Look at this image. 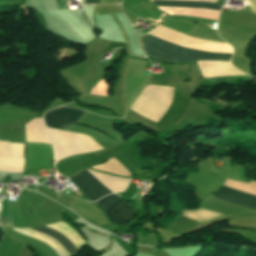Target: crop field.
Returning a JSON list of instances; mask_svg holds the SVG:
<instances>
[{
	"label": "crop field",
	"instance_id": "crop-field-1",
	"mask_svg": "<svg viewBox=\"0 0 256 256\" xmlns=\"http://www.w3.org/2000/svg\"><path fill=\"white\" fill-rule=\"evenodd\" d=\"M140 40L148 57L167 62L230 61L232 54L196 51L155 39L149 35Z\"/></svg>",
	"mask_w": 256,
	"mask_h": 256
},
{
	"label": "crop field",
	"instance_id": "crop-field-10",
	"mask_svg": "<svg viewBox=\"0 0 256 256\" xmlns=\"http://www.w3.org/2000/svg\"><path fill=\"white\" fill-rule=\"evenodd\" d=\"M2 235H3V230H0V240H1Z\"/></svg>",
	"mask_w": 256,
	"mask_h": 256
},
{
	"label": "crop field",
	"instance_id": "crop-field-4",
	"mask_svg": "<svg viewBox=\"0 0 256 256\" xmlns=\"http://www.w3.org/2000/svg\"><path fill=\"white\" fill-rule=\"evenodd\" d=\"M215 196L219 199L256 209V195L221 186Z\"/></svg>",
	"mask_w": 256,
	"mask_h": 256
},
{
	"label": "crop field",
	"instance_id": "crop-field-5",
	"mask_svg": "<svg viewBox=\"0 0 256 256\" xmlns=\"http://www.w3.org/2000/svg\"><path fill=\"white\" fill-rule=\"evenodd\" d=\"M105 214L113 223L120 225L130 220L135 211L120 199L107 209Z\"/></svg>",
	"mask_w": 256,
	"mask_h": 256
},
{
	"label": "crop field",
	"instance_id": "crop-field-6",
	"mask_svg": "<svg viewBox=\"0 0 256 256\" xmlns=\"http://www.w3.org/2000/svg\"><path fill=\"white\" fill-rule=\"evenodd\" d=\"M150 1L152 2L153 5H156L157 7H171V8L213 10V11H219L221 8V5L216 3L159 1V0H150Z\"/></svg>",
	"mask_w": 256,
	"mask_h": 256
},
{
	"label": "crop field",
	"instance_id": "crop-field-8",
	"mask_svg": "<svg viewBox=\"0 0 256 256\" xmlns=\"http://www.w3.org/2000/svg\"><path fill=\"white\" fill-rule=\"evenodd\" d=\"M119 198L121 197L117 195H111V196L104 197L95 203L106 210L113 202L117 201Z\"/></svg>",
	"mask_w": 256,
	"mask_h": 256
},
{
	"label": "crop field",
	"instance_id": "crop-field-7",
	"mask_svg": "<svg viewBox=\"0 0 256 256\" xmlns=\"http://www.w3.org/2000/svg\"><path fill=\"white\" fill-rule=\"evenodd\" d=\"M32 229H34L42 234L51 236L53 239H55L59 244H61L66 249L69 256L76 254L77 250L75 249V247L71 244V242L68 239H66L61 234H59L45 226L40 227V228H32Z\"/></svg>",
	"mask_w": 256,
	"mask_h": 256
},
{
	"label": "crop field",
	"instance_id": "crop-field-3",
	"mask_svg": "<svg viewBox=\"0 0 256 256\" xmlns=\"http://www.w3.org/2000/svg\"><path fill=\"white\" fill-rule=\"evenodd\" d=\"M84 113V111L57 108L47 112L44 120L47 127L63 129L73 123Z\"/></svg>",
	"mask_w": 256,
	"mask_h": 256
},
{
	"label": "crop field",
	"instance_id": "crop-field-12",
	"mask_svg": "<svg viewBox=\"0 0 256 256\" xmlns=\"http://www.w3.org/2000/svg\"><path fill=\"white\" fill-rule=\"evenodd\" d=\"M149 19V18H148ZM151 20H153V19H151ZM154 21V20H153Z\"/></svg>",
	"mask_w": 256,
	"mask_h": 256
},
{
	"label": "crop field",
	"instance_id": "crop-field-9",
	"mask_svg": "<svg viewBox=\"0 0 256 256\" xmlns=\"http://www.w3.org/2000/svg\"><path fill=\"white\" fill-rule=\"evenodd\" d=\"M98 0H85V3H97Z\"/></svg>",
	"mask_w": 256,
	"mask_h": 256
},
{
	"label": "crop field",
	"instance_id": "crop-field-11",
	"mask_svg": "<svg viewBox=\"0 0 256 256\" xmlns=\"http://www.w3.org/2000/svg\"><path fill=\"white\" fill-rule=\"evenodd\" d=\"M144 74H148V73H145V72H144ZM148 75H149V74H148Z\"/></svg>",
	"mask_w": 256,
	"mask_h": 256
},
{
	"label": "crop field",
	"instance_id": "crop-field-2",
	"mask_svg": "<svg viewBox=\"0 0 256 256\" xmlns=\"http://www.w3.org/2000/svg\"><path fill=\"white\" fill-rule=\"evenodd\" d=\"M69 178L89 197L91 201H96L105 195L111 194L109 190H107L86 170Z\"/></svg>",
	"mask_w": 256,
	"mask_h": 256
}]
</instances>
